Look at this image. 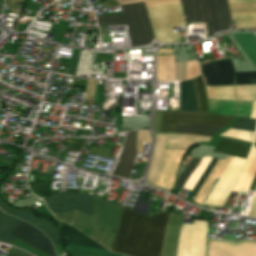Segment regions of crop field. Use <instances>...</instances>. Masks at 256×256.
Returning <instances> with one entry per match:
<instances>
[{
	"label": "crop field",
	"instance_id": "730fd06b",
	"mask_svg": "<svg viewBox=\"0 0 256 256\" xmlns=\"http://www.w3.org/2000/svg\"><path fill=\"white\" fill-rule=\"evenodd\" d=\"M211 158L204 157L200 163V165L194 170L193 174L189 178V180L184 185V189L192 191L194 185L201 177L203 171L205 170L206 166L208 165Z\"/></svg>",
	"mask_w": 256,
	"mask_h": 256
},
{
	"label": "crop field",
	"instance_id": "b54c1fbb",
	"mask_svg": "<svg viewBox=\"0 0 256 256\" xmlns=\"http://www.w3.org/2000/svg\"><path fill=\"white\" fill-rule=\"evenodd\" d=\"M253 147H254V145L251 146V149H250V151H249V155H248V158H247V159H249L250 154H251V152H252V150H253Z\"/></svg>",
	"mask_w": 256,
	"mask_h": 256
},
{
	"label": "crop field",
	"instance_id": "bd1437ed",
	"mask_svg": "<svg viewBox=\"0 0 256 256\" xmlns=\"http://www.w3.org/2000/svg\"><path fill=\"white\" fill-rule=\"evenodd\" d=\"M149 191V190H148ZM146 195H140L132 211L148 216L151 201H147Z\"/></svg>",
	"mask_w": 256,
	"mask_h": 256
},
{
	"label": "crop field",
	"instance_id": "412701ff",
	"mask_svg": "<svg viewBox=\"0 0 256 256\" xmlns=\"http://www.w3.org/2000/svg\"><path fill=\"white\" fill-rule=\"evenodd\" d=\"M188 21L206 22V33L229 30L230 13L226 0H181Z\"/></svg>",
	"mask_w": 256,
	"mask_h": 256
},
{
	"label": "crop field",
	"instance_id": "d3111659",
	"mask_svg": "<svg viewBox=\"0 0 256 256\" xmlns=\"http://www.w3.org/2000/svg\"><path fill=\"white\" fill-rule=\"evenodd\" d=\"M119 5L132 3V2H139L145 1L147 8L159 5H167V4H176L181 3L180 0H116Z\"/></svg>",
	"mask_w": 256,
	"mask_h": 256
},
{
	"label": "crop field",
	"instance_id": "d32e631a",
	"mask_svg": "<svg viewBox=\"0 0 256 256\" xmlns=\"http://www.w3.org/2000/svg\"><path fill=\"white\" fill-rule=\"evenodd\" d=\"M253 134L254 133H251V132H245V131H238V130L229 129L224 134H222V136L233 137V138H237V139H241V140H245V141L251 142Z\"/></svg>",
	"mask_w": 256,
	"mask_h": 256
},
{
	"label": "crop field",
	"instance_id": "dd49c442",
	"mask_svg": "<svg viewBox=\"0 0 256 256\" xmlns=\"http://www.w3.org/2000/svg\"><path fill=\"white\" fill-rule=\"evenodd\" d=\"M208 222L194 220L193 225L183 224L177 256H205Z\"/></svg>",
	"mask_w": 256,
	"mask_h": 256
},
{
	"label": "crop field",
	"instance_id": "028f5c9d",
	"mask_svg": "<svg viewBox=\"0 0 256 256\" xmlns=\"http://www.w3.org/2000/svg\"><path fill=\"white\" fill-rule=\"evenodd\" d=\"M237 105L239 116L249 118L252 102L237 101Z\"/></svg>",
	"mask_w": 256,
	"mask_h": 256
},
{
	"label": "crop field",
	"instance_id": "eef30255",
	"mask_svg": "<svg viewBox=\"0 0 256 256\" xmlns=\"http://www.w3.org/2000/svg\"><path fill=\"white\" fill-rule=\"evenodd\" d=\"M237 100L255 101L256 85L254 86H236Z\"/></svg>",
	"mask_w": 256,
	"mask_h": 256
},
{
	"label": "crop field",
	"instance_id": "5866460e",
	"mask_svg": "<svg viewBox=\"0 0 256 256\" xmlns=\"http://www.w3.org/2000/svg\"><path fill=\"white\" fill-rule=\"evenodd\" d=\"M144 142H151V135L148 131H138L137 150L142 152Z\"/></svg>",
	"mask_w": 256,
	"mask_h": 256
},
{
	"label": "crop field",
	"instance_id": "733c2abd",
	"mask_svg": "<svg viewBox=\"0 0 256 256\" xmlns=\"http://www.w3.org/2000/svg\"><path fill=\"white\" fill-rule=\"evenodd\" d=\"M185 151L183 150H166L163 164L156 181V185L171 188L176 172L178 169L179 162Z\"/></svg>",
	"mask_w": 256,
	"mask_h": 256
},
{
	"label": "crop field",
	"instance_id": "d8731c3e",
	"mask_svg": "<svg viewBox=\"0 0 256 256\" xmlns=\"http://www.w3.org/2000/svg\"><path fill=\"white\" fill-rule=\"evenodd\" d=\"M247 162V160L234 157L214 192L212 191L211 197L209 196L210 198L206 203L207 206L223 207Z\"/></svg>",
	"mask_w": 256,
	"mask_h": 256
},
{
	"label": "crop field",
	"instance_id": "cbeb9de0",
	"mask_svg": "<svg viewBox=\"0 0 256 256\" xmlns=\"http://www.w3.org/2000/svg\"><path fill=\"white\" fill-rule=\"evenodd\" d=\"M0 208L8 214L14 215L22 220H25L33 225H35L37 228H39L42 232H44L52 241L55 250L57 252V248L59 246L61 234L60 232L55 228V226L51 223V221L46 219H37L34 217V215L26 210H18L14 209L8 204L4 203L0 200Z\"/></svg>",
	"mask_w": 256,
	"mask_h": 256
},
{
	"label": "crop field",
	"instance_id": "e1f06a70",
	"mask_svg": "<svg viewBox=\"0 0 256 256\" xmlns=\"http://www.w3.org/2000/svg\"><path fill=\"white\" fill-rule=\"evenodd\" d=\"M96 80H88L85 99L93 100L95 97Z\"/></svg>",
	"mask_w": 256,
	"mask_h": 256
},
{
	"label": "crop field",
	"instance_id": "22f410ed",
	"mask_svg": "<svg viewBox=\"0 0 256 256\" xmlns=\"http://www.w3.org/2000/svg\"><path fill=\"white\" fill-rule=\"evenodd\" d=\"M9 234L49 256H56L54 247L48 237L24 221Z\"/></svg>",
	"mask_w": 256,
	"mask_h": 256
},
{
	"label": "crop field",
	"instance_id": "bc2a9ffb",
	"mask_svg": "<svg viewBox=\"0 0 256 256\" xmlns=\"http://www.w3.org/2000/svg\"><path fill=\"white\" fill-rule=\"evenodd\" d=\"M232 158L228 157L226 161L218 160L215 167L201 186L200 190L198 191L197 195L194 198V201L199 203H203L204 199L208 195L209 191L211 190V185L215 181L216 178H221L222 174L226 170L227 166L231 162Z\"/></svg>",
	"mask_w": 256,
	"mask_h": 256
},
{
	"label": "crop field",
	"instance_id": "4177f3b9",
	"mask_svg": "<svg viewBox=\"0 0 256 256\" xmlns=\"http://www.w3.org/2000/svg\"><path fill=\"white\" fill-rule=\"evenodd\" d=\"M208 99L235 100L234 86L206 87Z\"/></svg>",
	"mask_w": 256,
	"mask_h": 256
},
{
	"label": "crop field",
	"instance_id": "c21b1889",
	"mask_svg": "<svg viewBox=\"0 0 256 256\" xmlns=\"http://www.w3.org/2000/svg\"><path fill=\"white\" fill-rule=\"evenodd\" d=\"M250 118L256 119V102H253L252 114H251ZM255 141H256V130H255V134H254V138H253V142L252 143L255 144Z\"/></svg>",
	"mask_w": 256,
	"mask_h": 256
},
{
	"label": "crop field",
	"instance_id": "d9b57169",
	"mask_svg": "<svg viewBox=\"0 0 256 256\" xmlns=\"http://www.w3.org/2000/svg\"><path fill=\"white\" fill-rule=\"evenodd\" d=\"M201 70L206 75L208 85L234 84V70L230 59L203 64Z\"/></svg>",
	"mask_w": 256,
	"mask_h": 256
},
{
	"label": "crop field",
	"instance_id": "92a150f3",
	"mask_svg": "<svg viewBox=\"0 0 256 256\" xmlns=\"http://www.w3.org/2000/svg\"><path fill=\"white\" fill-rule=\"evenodd\" d=\"M22 220L9 216L0 210V241L9 243L17 238L8 233L13 230Z\"/></svg>",
	"mask_w": 256,
	"mask_h": 256
},
{
	"label": "crop field",
	"instance_id": "5142ce71",
	"mask_svg": "<svg viewBox=\"0 0 256 256\" xmlns=\"http://www.w3.org/2000/svg\"><path fill=\"white\" fill-rule=\"evenodd\" d=\"M236 29L256 27V0H227Z\"/></svg>",
	"mask_w": 256,
	"mask_h": 256
},
{
	"label": "crop field",
	"instance_id": "b80d0937",
	"mask_svg": "<svg viewBox=\"0 0 256 256\" xmlns=\"http://www.w3.org/2000/svg\"><path fill=\"white\" fill-rule=\"evenodd\" d=\"M85 140L86 139L75 138V142L71 143L70 149L80 151L85 143Z\"/></svg>",
	"mask_w": 256,
	"mask_h": 256
},
{
	"label": "crop field",
	"instance_id": "28ad6ade",
	"mask_svg": "<svg viewBox=\"0 0 256 256\" xmlns=\"http://www.w3.org/2000/svg\"><path fill=\"white\" fill-rule=\"evenodd\" d=\"M61 225L64 227L67 234L66 244L106 250L105 248L101 247L98 243H96L94 240L86 237L76 229L64 223H61ZM69 245H66V246L71 256H123V255L115 254L112 252H106L107 250L100 251V250L87 249V248H81V247H75V246H69Z\"/></svg>",
	"mask_w": 256,
	"mask_h": 256
},
{
	"label": "crop field",
	"instance_id": "214f88e0",
	"mask_svg": "<svg viewBox=\"0 0 256 256\" xmlns=\"http://www.w3.org/2000/svg\"><path fill=\"white\" fill-rule=\"evenodd\" d=\"M181 90V111H197L199 110L198 100L196 96L194 81L180 82Z\"/></svg>",
	"mask_w": 256,
	"mask_h": 256
},
{
	"label": "crop field",
	"instance_id": "f4fd0767",
	"mask_svg": "<svg viewBox=\"0 0 256 256\" xmlns=\"http://www.w3.org/2000/svg\"><path fill=\"white\" fill-rule=\"evenodd\" d=\"M156 40L159 42H180V32H173V26H184L181 4L147 9Z\"/></svg>",
	"mask_w": 256,
	"mask_h": 256
},
{
	"label": "crop field",
	"instance_id": "03da06ac",
	"mask_svg": "<svg viewBox=\"0 0 256 256\" xmlns=\"http://www.w3.org/2000/svg\"><path fill=\"white\" fill-rule=\"evenodd\" d=\"M8 152H9V153H12L13 155L11 156V158H10L9 160L4 159V158H0V163H1V164L9 165V164L12 163L13 158H14V156H15V153H13L11 150H8Z\"/></svg>",
	"mask_w": 256,
	"mask_h": 256
},
{
	"label": "crop field",
	"instance_id": "00972430",
	"mask_svg": "<svg viewBox=\"0 0 256 256\" xmlns=\"http://www.w3.org/2000/svg\"><path fill=\"white\" fill-rule=\"evenodd\" d=\"M233 35L235 36L238 44L241 46V48L244 50V52L247 54L249 59L256 67V37L254 36V34L251 33Z\"/></svg>",
	"mask_w": 256,
	"mask_h": 256
},
{
	"label": "crop field",
	"instance_id": "750c4746",
	"mask_svg": "<svg viewBox=\"0 0 256 256\" xmlns=\"http://www.w3.org/2000/svg\"><path fill=\"white\" fill-rule=\"evenodd\" d=\"M236 84H256V72H236Z\"/></svg>",
	"mask_w": 256,
	"mask_h": 256
},
{
	"label": "crop field",
	"instance_id": "d1516ede",
	"mask_svg": "<svg viewBox=\"0 0 256 256\" xmlns=\"http://www.w3.org/2000/svg\"><path fill=\"white\" fill-rule=\"evenodd\" d=\"M206 256H256V243L207 240Z\"/></svg>",
	"mask_w": 256,
	"mask_h": 256
},
{
	"label": "crop field",
	"instance_id": "1d83c4d3",
	"mask_svg": "<svg viewBox=\"0 0 256 256\" xmlns=\"http://www.w3.org/2000/svg\"><path fill=\"white\" fill-rule=\"evenodd\" d=\"M199 161H200V159L193 158V160L186 166V168L183 170L182 174L179 176V181L177 183L176 188H178V189L182 188V186L185 183L187 177L193 171V169L197 166Z\"/></svg>",
	"mask_w": 256,
	"mask_h": 256
},
{
	"label": "crop field",
	"instance_id": "5d738f31",
	"mask_svg": "<svg viewBox=\"0 0 256 256\" xmlns=\"http://www.w3.org/2000/svg\"><path fill=\"white\" fill-rule=\"evenodd\" d=\"M0 6L3 7V0H0Z\"/></svg>",
	"mask_w": 256,
	"mask_h": 256
},
{
	"label": "crop field",
	"instance_id": "c035e120",
	"mask_svg": "<svg viewBox=\"0 0 256 256\" xmlns=\"http://www.w3.org/2000/svg\"><path fill=\"white\" fill-rule=\"evenodd\" d=\"M249 216L255 217L256 216V191L254 194L251 210Z\"/></svg>",
	"mask_w": 256,
	"mask_h": 256
},
{
	"label": "crop field",
	"instance_id": "8a807250",
	"mask_svg": "<svg viewBox=\"0 0 256 256\" xmlns=\"http://www.w3.org/2000/svg\"><path fill=\"white\" fill-rule=\"evenodd\" d=\"M169 213L151 218L124 209L113 252L130 256H159Z\"/></svg>",
	"mask_w": 256,
	"mask_h": 256
},
{
	"label": "crop field",
	"instance_id": "3316defc",
	"mask_svg": "<svg viewBox=\"0 0 256 256\" xmlns=\"http://www.w3.org/2000/svg\"><path fill=\"white\" fill-rule=\"evenodd\" d=\"M42 199L52 213L79 210L92 215V195L63 193L58 196L45 197Z\"/></svg>",
	"mask_w": 256,
	"mask_h": 256
},
{
	"label": "crop field",
	"instance_id": "0bd39190",
	"mask_svg": "<svg viewBox=\"0 0 256 256\" xmlns=\"http://www.w3.org/2000/svg\"><path fill=\"white\" fill-rule=\"evenodd\" d=\"M217 160L218 159H216V158L212 159L211 163L209 164V166L206 168L205 172L203 173L201 179L199 180V182L197 183V185L193 189L194 192L198 191V189L200 188L201 184L203 183V181L205 180V178L207 177V175L209 174V172L211 171V169L213 168V166L215 165Z\"/></svg>",
	"mask_w": 256,
	"mask_h": 256
},
{
	"label": "crop field",
	"instance_id": "ac0d7876",
	"mask_svg": "<svg viewBox=\"0 0 256 256\" xmlns=\"http://www.w3.org/2000/svg\"><path fill=\"white\" fill-rule=\"evenodd\" d=\"M221 129L223 128L206 125H178L176 133H190L204 136H213L215 132ZM154 134L156 136V141L153 150L152 161L147 174V182L150 186H153L161 167L168 136V134L158 132H154ZM204 136L169 134L166 148L189 149L201 142L208 143L211 138ZM214 152L233 155L245 159L248 153L244 146L225 139H223L222 142L216 147Z\"/></svg>",
	"mask_w": 256,
	"mask_h": 256
},
{
	"label": "crop field",
	"instance_id": "a9b5d70f",
	"mask_svg": "<svg viewBox=\"0 0 256 256\" xmlns=\"http://www.w3.org/2000/svg\"><path fill=\"white\" fill-rule=\"evenodd\" d=\"M210 113L237 116L235 101L208 100Z\"/></svg>",
	"mask_w": 256,
	"mask_h": 256
},
{
	"label": "crop field",
	"instance_id": "ae1a2a85",
	"mask_svg": "<svg viewBox=\"0 0 256 256\" xmlns=\"http://www.w3.org/2000/svg\"><path fill=\"white\" fill-rule=\"evenodd\" d=\"M201 112H208L206 92L202 76L195 78Z\"/></svg>",
	"mask_w": 256,
	"mask_h": 256
},
{
	"label": "crop field",
	"instance_id": "e52e79f7",
	"mask_svg": "<svg viewBox=\"0 0 256 256\" xmlns=\"http://www.w3.org/2000/svg\"><path fill=\"white\" fill-rule=\"evenodd\" d=\"M232 118L231 116L197 112L165 111L161 131L175 133L177 124H206L226 127Z\"/></svg>",
	"mask_w": 256,
	"mask_h": 256
},
{
	"label": "crop field",
	"instance_id": "120bbe31",
	"mask_svg": "<svg viewBox=\"0 0 256 256\" xmlns=\"http://www.w3.org/2000/svg\"><path fill=\"white\" fill-rule=\"evenodd\" d=\"M256 120L239 118L231 128L254 132Z\"/></svg>",
	"mask_w": 256,
	"mask_h": 256
},
{
	"label": "crop field",
	"instance_id": "d23c7cc5",
	"mask_svg": "<svg viewBox=\"0 0 256 256\" xmlns=\"http://www.w3.org/2000/svg\"><path fill=\"white\" fill-rule=\"evenodd\" d=\"M254 180H256V176H255Z\"/></svg>",
	"mask_w": 256,
	"mask_h": 256
},
{
	"label": "crop field",
	"instance_id": "34b2d1b8",
	"mask_svg": "<svg viewBox=\"0 0 256 256\" xmlns=\"http://www.w3.org/2000/svg\"><path fill=\"white\" fill-rule=\"evenodd\" d=\"M123 16L97 17L98 25L128 24L131 46L147 45L154 38L144 2L120 6Z\"/></svg>",
	"mask_w": 256,
	"mask_h": 256
},
{
	"label": "crop field",
	"instance_id": "5a996713",
	"mask_svg": "<svg viewBox=\"0 0 256 256\" xmlns=\"http://www.w3.org/2000/svg\"><path fill=\"white\" fill-rule=\"evenodd\" d=\"M180 80L197 76L200 72L197 61L176 63ZM173 55L157 57V75L159 81H179Z\"/></svg>",
	"mask_w": 256,
	"mask_h": 256
},
{
	"label": "crop field",
	"instance_id": "4a817a6b",
	"mask_svg": "<svg viewBox=\"0 0 256 256\" xmlns=\"http://www.w3.org/2000/svg\"><path fill=\"white\" fill-rule=\"evenodd\" d=\"M135 136L136 131L127 133L125 146L113 175L129 179L136 155Z\"/></svg>",
	"mask_w": 256,
	"mask_h": 256
},
{
	"label": "crop field",
	"instance_id": "dafd665d",
	"mask_svg": "<svg viewBox=\"0 0 256 256\" xmlns=\"http://www.w3.org/2000/svg\"><path fill=\"white\" fill-rule=\"evenodd\" d=\"M255 174H256V146L254 147L252 156H251L245 170L243 171L241 177L239 178L238 182L236 183L234 189L248 190Z\"/></svg>",
	"mask_w": 256,
	"mask_h": 256
}]
</instances>
